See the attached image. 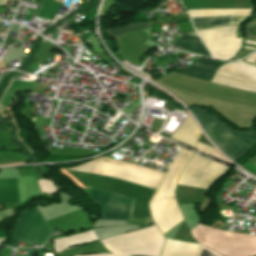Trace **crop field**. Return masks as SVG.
Instances as JSON below:
<instances>
[{
	"label": "crop field",
	"mask_w": 256,
	"mask_h": 256,
	"mask_svg": "<svg viewBox=\"0 0 256 256\" xmlns=\"http://www.w3.org/2000/svg\"><path fill=\"white\" fill-rule=\"evenodd\" d=\"M71 169L94 173L154 189H157L164 177V173L104 157ZM74 170L68 169L65 171L86 188L105 189L146 202L150 200L155 192L154 189Z\"/></svg>",
	"instance_id": "8a807250"
},
{
	"label": "crop field",
	"mask_w": 256,
	"mask_h": 256,
	"mask_svg": "<svg viewBox=\"0 0 256 256\" xmlns=\"http://www.w3.org/2000/svg\"><path fill=\"white\" fill-rule=\"evenodd\" d=\"M191 155L192 152L181 149L154 197H175L177 179ZM150 210L154 222L163 234L183 220L175 198H152Z\"/></svg>",
	"instance_id": "ac0d7876"
},
{
	"label": "crop field",
	"mask_w": 256,
	"mask_h": 256,
	"mask_svg": "<svg viewBox=\"0 0 256 256\" xmlns=\"http://www.w3.org/2000/svg\"><path fill=\"white\" fill-rule=\"evenodd\" d=\"M191 111L212 141L232 160L236 161L256 145V133L237 132L217 117L208 116L204 110L191 109Z\"/></svg>",
	"instance_id": "34b2d1b8"
},
{
	"label": "crop field",
	"mask_w": 256,
	"mask_h": 256,
	"mask_svg": "<svg viewBox=\"0 0 256 256\" xmlns=\"http://www.w3.org/2000/svg\"><path fill=\"white\" fill-rule=\"evenodd\" d=\"M164 237L154 226L121 234L104 241L103 246L113 252L128 255L159 256ZM88 256H126L118 254H95Z\"/></svg>",
	"instance_id": "412701ff"
},
{
	"label": "crop field",
	"mask_w": 256,
	"mask_h": 256,
	"mask_svg": "<svg viewBox=\"0 0 256 256\" xmlns=\"http://www.w3.org/2000/svg\"><path fill=\"white\" fill-rule=\"evenodd\" d=\"M190 233L193 238L197 239L256 246V235L221 231L201 224L191 229ZM197 239L195 240L198 243L217 251L222 256H256V247Z\"/></svg>",
	"instance_id": "f4fd0767"
},
{
	"label": "crop field",
	"mask_w": 256,
	"mask_h": 256,
	"mask_svg": "<svg viewBox=\"0 0 256 256\" xmlns=\"http://www.w3.org/2000/svg\"><path fill=\"white\" fill-rule=\"evenodd\" d=\"M228 167L194 153L178 184L208 189Z\"/></svg>",
	"instance_id": "dd49c442"
},
{
	"label": "crop field",
	"mask_w": 256,
	"mask_h": 256,
	"mask_svg": "<svg viewBox=\"0 0 256 256\" xmlns=\"http://www.w3.org/2000/svg\"><path fill=\"white\" fill-rule=\"evenodd\" d=\"M50 234V228L35 207L20 214L12 236L26 244L42 245L48 240Z\"/></svg>",
	"instance_id": "e52e79f7"
},
{
	"label": "crop field",
	"mask_w": 256,
	"mask_h": 256,
	"mask_svg": "<svg viewBox=\"0 0 256 256\" xmlns=\"http://www.w3.org/2000/svg\"><path fill=\"white\" fill-rule=\"evenodd\" d=\"M84 191L95 203L100 205L101 219L126 220V225L131 224L134 200L105 191L93 189Z\"/></svg>",
	"instance_id": "d8731c3e"
},
{
	"label": "crop field",
	"mask_w": 256,
	"mask_h": 256,
	"mask_svg": "<svg viewBox=\"0 0 256 256\" xmlns=\"http://www.w3.org/2000/svg\"><path fill=\"white\" fill-rule=\"evenodd\" d=\"M254 9H220V10H192L187 11L190 18L199 16H213V15H252ZM228 15V16H213V17H200L191 19L195 30L217 27L222 25L238 24L245 16Z\"/></svg>",
	"instance_id": "5a996713"
},
{
	"label": "crop field",
	"mask_w": 256,
	"mask_h": 256,
	"mask_svg": "<svg viewBox=\"0 0 256 256\" xmlns=\"http://www.w3.org/2000/svg\"><path fill=\"white\" fill-rule=\"evenodd\" d=\"M200 134L201 132L198 126L188 114L178 129L175 131V133L172 135L171 139L194 148Z\"/></svg>",
	"instance_id": "3316defc"
},
{
	"label": "crop field",
	"mask_w": 256,
	"mask_h": 256,
	"mask_svg": "<svg viewBox=\"0 0 256 256\" xmlns=\"http://www.w3.org/2000/svg\"><path fill=\"white\" fill-rule=\"evenodd\" d=\"M198 247L197 245L166 239L161 256H195Z\"/></svg>",
	"instance_id": "28ad6ade"
},
{
	"label": "crop field",
	"mask_w": 256,
	"mask_h": 256,
	"mask_svg": "<svg viewBox=\"0 0 256 256\" xmlns=\"http://www.w3.org/2000/svg\"><path fill=\"white\" fill-rule=\"evenodd\" d=\"M219 65V63L199 59L182 73L188 76L210 81L215 69Z\"/></svg>",
	"instance_id": "d1516ede"
},
{
	"label": "crop field",
	"mask_w": 256,
	"mask_h": 256,
	"mask_svg": "<svg viewBox=\"0 0 256 256\" xmlns=\"http://www.w3.org/2000/svg\"><path fill=\"white\" fill-rule=\"evenodd\" d=\"M189 34H193V33H189ZM189 34H186L178 38L172 44L190 51H194V52L209 56L204 45L200 42L199 38Z\"/></svg>",
	"instance_id": "22f410ed"
},
{
	"label": "crop field",
	"mask_w": 256,
	"mask_h": 256,
	"mask_svg": "<svg viewBox=\"0 0 256 256\" xmlns=\"http://www.w3.org/2000/svg\"><path fill=\"white\" fill-rule=\"evenodd\" d=\"M149 27V24L147 23H133V24H128V25H124V26H120V27H116V28H110L107 29L109 34L113 35L114 37H119L127 32L130 31H134V30H138V29H142V28H146Z\"/></svg>",
	"instance_id": "cbeb9de0"
},
{
	"label": "crop field",
	"mask_w": 256,
	"mask_h": 256,
	"mask_svg": "<svg viewBox=\"0 0 256 256\" xmlns=\"http://www.w3.org/2000/svg\"><path fill=\"white\" fill-rule=\"evenodd\" d=\"M196 150H199L201 152H204L214 158H217L221 161H224L230 165H232L231 163H229L224 157H222L218 152H216L208 143H206L205 141H203L202 139L199 138V140L196 143ZM203 153V154H204Z\"/></svg>",
	"instance_id": "5142ce71"
},
{
	"label": "crop field",
	"mask_w": 256,
	"mask_h": 256,
	"mask_svg": "<svg viewBox=\"0 0 256 256\" xmlns=\"http://www.w3.org/2000/svg\"><path fill=\"white\" fill-rule=\"evenodd\" d=\"M197 256H219V255L217 253L201 246Z\"/></svg>",
	"instance_id": "d9b57169"
}]
</instances>
